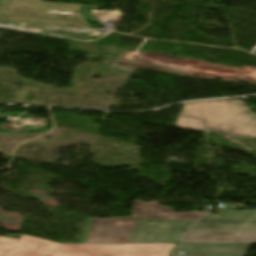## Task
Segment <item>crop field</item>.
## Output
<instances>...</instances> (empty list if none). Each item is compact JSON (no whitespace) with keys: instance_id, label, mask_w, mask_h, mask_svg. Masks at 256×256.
I'll use <instances>...</instances> for the list:
<instances>
[{"instance_id":"f4fd0767","label":"crop field","mask_w":256,"mask_h":256,"mask_svg":"<svg viewBox=\"0 0 256 256\" xmlns=\"http://www.w3.org/2000/svg\"><path fill=\"white\" fill-rule=\"evenodd\" d=\"M1 21L87 26L80 14L6 7Z\"/></svg>"},{"instance_id":"e52e79f7","label":"crop field","mask_w":256,"mask_h":256,"mask_svg":"<svg viewBox=\"0 0 256 256\" xmlns=\"http://www.w3.org/2000/svg\"><path fill=\"white\" fill-rule=\"evenodd\" d=\"M207 212L173 213L172 208L157 207V201L149 203L135 200L132 217H155L197 220Z\"/></svg>"},{"instance_id":"22f410ed","label":"crop field","mask_w":256,"mask_h":256,"mask_svg":"<svg viewBox=\"0 0 256 256\" xmlns=\"http://www.w3.org/2000/svg\"><path fill=\"white\" fill-rule=\"evenodd\" d=\"M4 9H5V7H0V15L3 12Z\"/></svg>"},{"instance_id":"ac0d7876","label":"crop field","mask_w":256,"mask_h":256,"mask_svg":"<svg viewBox=\"0 0 256 256\" xmlns=\"http://www.w3.org/2000/svg\"><path fill=\"white\" fill-rule=\"evenodd\" d=\"M177 244H57L23 235L0 237V256H49L52 252H86L91 256H169Z\"/></svg>"},{"instance_id":"5a996713","label":"crop field","mask_w":256,"mask_h":256,"mask_svg":"<svg viewBox=\"0 0 256 256\" xmlns=\"http://www.w3.org/2000/svg\"><path fill=\"white\" fill-rule=\"evenodd\" d=\"M8 5L80 11V5L48 3L41 0H10Z\"/></svg>"},{"instance_id":"d8731c3e","label":"crop field","mask_w":256,"mask_h":256,"mask_svg":"<svg viewBox=\"0 0 256 256\" xmlns=\"http://www.w3.org/2000/svg\"><path fill=\"white\" fill-rule=\"evenodd\" d=\"M227 212V214L225 213ZM212 215V217H210ZM201 221H245L256 222V210L235 211L231 209H220V216L209 214L202 218Z\"/></svg>"},{"instance_id":"d1516ede","label":"crop field","mask_w":256,"mask_h":256,"mask_svg":"<svg viewBox=\"0 0 256 256\" xmlns=\"http://www.w3.org/2000/svg\"><path fill=\"white\" fill-rule=\"evenodd\" d=\"M9 0H0V5H7Z\"/></svg>"},{"instance_id":"dd49c442","label":"crop field","mask_w":256,"mask_h":256,"mask_svg":"<svg viewBox=\"0 0 256 256\" xmlns=\"http://www.w3.org/2000/svg\"><path fill=\"white\" fill-rule=\"evenodd\" d=\"M250 244H193L180 245L172 256H244ZM182 251L183 255H178Z\"/></svg>"},{"instance_id":"28ad6ade","label":"crop field","mask_w":256,"mask_h":256,"mask_svg":"<svg viewBox=\"0 0 256 256\" xmlns=\"http://www.w3.org/2000/svg\"><path fill=\"white\" fill-rule=\"evenodd\" d=\"M50 256H89L85 253H53Z\"/></svg>"},{"instance_id":"8a807250","label":"crop field","mask_w":256,"mask_h":256,"mask_svg":"<svg viewBox=\"0 0 256 256\" xmlns=\"http://www.w3.org/2000/svg\"><path fill=\"white\" fill-rule=\"evenodd\" d=\"M192 223L122 217H88L79 242L179 243L184 229H187Z\"/></svg>"},{"instance_id":"412701ff","label":"crop field","mask_w":256,"mask_h":256,"mask_svg":"<svg viewBox=\"0 0 256 256\" xmlns=\"http://www.w3.org/2000/svg\"><path fill=\"white\" fill-rule=\"evenodd\" d=\"M182 243H256V223L197 221Z\"/></svg>"},{"instance_id":"34b2d1b8","label":"crop field","mask_w":256,"mask_h":256,"mask_svg":"<svg viewBox=\"0 0 256 256\" xmlns=\"http://www.w3.org/2000/svg\"><path fill=\"white\" fill-rule=\"evenodd\" d=\"M182 115L206 120V131L256 139V118L240 100L189 102Z\"/></svg>"},{"instance_id":"3316defc","label":"crop field","mask_w":256,"mask_h":256,"mask_svg":"<svg viewBox=\"0 0 256 256\" xmlns=\"http://www.w3.org/2000/svg\"><path fill=\"white\" fill-rule=\"evenodd\" d=\"M174 127H182V128L204 131V123L202 120L185 117L181 115L178 116L174 124Z\"/></svg>"}]
</instances>
